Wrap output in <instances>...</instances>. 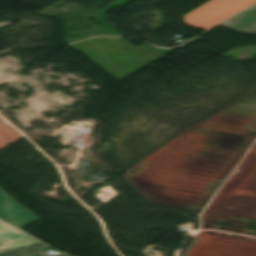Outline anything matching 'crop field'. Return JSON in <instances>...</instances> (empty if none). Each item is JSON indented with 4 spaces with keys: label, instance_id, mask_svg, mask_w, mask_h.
<instances>
[{
    "label": "crop field",
    "instance_id": "crop-field-6",
    "mask_svg": "<svg viewBox=\"0 0 256 256\" xmlns=\"http://www.w3.org/2000/svg\"><path fill=\"white\" fill-rule=\"evenodd\" d=\"M138 47H141V48H144V49H147V50H150V51L162 54L164 56L167 55L172 50H174V49H161V48H156L155 49V48H151V46H148V45H142V46H138Z\"/></svg>",
    "mask_w": 256,
    "mask_h": 256
},
{
    "label": "crop field",
    "instance_id": "crop-field-5",
    "mask_svg": "<svg viewBox=\"0 0 256 256\" xmlns=\"http://www.w3.org/2000/svg\"><path fill=\"white\" fill-rule=\"evenodd\" d=\"M220 26L241 31L243 33L256 34V5Z\"/></svg>",
    "mask_w": 256,
    "mask_h": 256
},
{
    "label": "crop field",
    "instance_id": "crop-field-1",
    "mask_svg": "<svg viewBox=\"0 0 256 256\" xmlns=\"http://www.w3.org/2000/svg\"><path fill=\"white\" fill-rule=\"evenodd\" d=\"M68 47L83 53L119 81L164 57L113 37H96Z\"/></svg>",
    "mask_w": 256,
    "mask_h": 256
},
{
    "label": "crop field",
    "instance_id": "crop-field-2",
    "mask_svg": "<svg viewBox=\"0 0 256 256\" xmlns=\"http://www.w3.org/2000/svg\"><path fill=\"white\" fill-rule=\"evenodd\" d=\"M256 0H210L183 16L186 25L207 30L238 13Z\"/></svg>",
    "mask_w": 256,
    "mask_h": 256
},
{
    "label": "crop field",
    "instance_id": "crop-field-7",
    "mask_svg": "<svg viewBox=\"0 0 256 256\" xmlns=\"http://www.w3.org/2000/svg\"><path fill=\"white\" fill-rule=\"evenodd\" d=\"M52 256H68L66 254L52 255Z\"/></svg>",
    "mask_w": 256,
    "mask_h": 256
},
{
    "label": "crop field",
    "instance_id": "crop-field-4",
    "mask_svg": "<svg viewBox=\"0 0 256 256\" xmlns=\"http://www.w3.org/2000/svg\"><path fill=\"white\" fill-rule=\"evenodd\" d=\"M0 219L18 228L39 220L32 212L0 190Z\"/></svg>",
    "mask_w": 256,
    "mask_h": 256
},
{
    "label": "crop field",
    "instance_id": "crop-field-3",
    "mask_svg": "<svg viewBox=\"0 0 256 256\" xmlns=\"http://www.w3.org/2000/svg\"><path fill=\"white\" fill-rule=\"evenodd\" d=\"M47 246L0 222V256H19L20 252Z\"/></svg>",
    "mask_w": 256,
    "mask_h": 256
},
{
    "label": "crop field",
    "instance_id": "crop-field-8",
    "mask_svg": "<svg viewBox=\"0 0 256 256\" xmlns=\"http://www.w3.org/2000/svg\"><path fill=\"white\" fill-rule=\"evenodd\" d=\"M29 252H30V251H29ZM29 252H24V253H21V254L23 255V254H27V253H29Z\"/></svg>",
    "mask_w": 256,
    "mask_h": 256
}]
</instances>
